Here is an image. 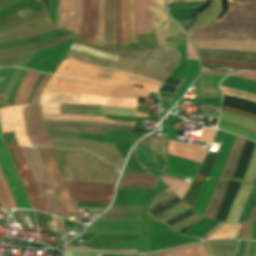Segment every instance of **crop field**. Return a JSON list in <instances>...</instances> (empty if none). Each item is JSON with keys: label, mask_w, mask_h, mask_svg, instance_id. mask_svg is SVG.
I'll list each match as a JSON object with an SVG mask.
<instances>
[{"label": "crop field", "mask_w": 256, "mask_h": 256, "mask_svg": "<svg viewBox=\"0 0 256 256\" xmlns=\"http://www.w3.org/2000/svg\"><path fill=\"white\" fill-rule=\"evenodd\" d=\"M221 19L192 33L193 39L256 40V2L229 4Z\"/></svg>", "instance_id": "8a807250"}, {"label": "crop field", "mask_w": 256, "mask_h": 256, "mask_svg": "<svg viewBox=\"0 0 256 256\" xmlns=\"http://www.w3.org/2000/svg\"><path fill=\"white\" fill-rule=\"evenodd\" d=\"M55 74L93 79L97 81L116 82L136 85L158 90L161 83L141 78L126 72L110 70L102 67L86 65L65 56Z\"/></svg>", "instance_id": "ac0d7876"}, {"label": "crop field", "mask_w": 256, "mask_h": 256, "mask_svg": "<svg viewBox=\"0 0 256 256\" xmlns=\"http://www.w3.org/2000/svg\"><path fill=\"white\" fill-rule=\"evenodd\" d=\"M44 92L89 93L133 98H146L151 90L138 89L120 84L91 82L53 75Z\"/></svg>", "instance_id": "34b2d1b8"}, {"label": "crop field", "mask_w": 256, "mask_h": 256, "mask_svg": "<svg viewBox=\"0 0 256 256\" xmlns=\"http://www.w3.org/2000/svg\"><path fill=\"white\" fill-rule=\"evenodd\" d=\"M0 167L18 208L33 209L9 152L2 140L0 130ZM0 169V202L3 207L17 208Z\"/></svg>", "instance_id": "412701ff"}, {"label": "crop field", "mask_w": 256, "mask_h": 256, "mask_svg": "<svg viewBox=\"0 0 256 256\" xmlns=\"http://www.w3.org/2000/svg\"><path fill=\"white\" fill-rule=\"evenodd\" d=\"M72 49L75 50H79L85 53H89L95 56H99L105 59H109L114 61L116 56H112L106 53H102L99 51H95L89 48H85L79 45H73L71 47ZM69 49L67 56L83 62V63H87V64H91V65H97V66H103V67H107V68H111V69H115V70H121V71H126L135 75H139L154 81H158V82H163V80L165 79V77L167 76V74L143 67L141 65H138L136 63H133L131 61H128L126 59H122L117 57L116 60L114 62L109 61V60H105L99 57H95L89 54H85L79 51H75Z\"/></svg>", "instance_id": "f4fd0767"}, {"label": "crop field", "mask_w": 256, "mask_h": 256, "mask_svg": "<svg viewBox=\"0 0 256 256\" xmlns=\"http://www.w3.org/2000/svg\"><path fill=\"white\" fill-rule=\"evenodd\" d=\"M137 100L133 98L89 94L43 93L39 100V105H41L42 114H59L60 103L136 107Z\"/></svg>", "instance_id": "dd49c442"}, {"label": "crop field", "mask_w": 256, "mask_h": 256, "mask_svg": "<svg viewBox=\"0 0 256 256\" xmlns=\"http://www.w3.org/2000/svg\"><path fill=\"white\" fill-rule=\"evenodd\" d=\"M20 148L23 152L47 212L66 217L37 149L26 147Z\"/></svg>", "instance_id": "e52e79f7"}, {"label": "crop field", "mask_w": 256, "mask_h": 256, "mask_svg": "<svg viewBox=\"0 0 256 256\" xmlns=\"http://www.w3.org/2000/svg\"><path fill=\"white\" fill-rule=\"evenodd\" d=\"M158 47L159 49L131 54L126 58L138 64L170 74L179 65L181 61L180 54L174 42Z\"/></svg>", "instance_id": "d8731c3e"}, {"label": "crop field", "mask_w": 256, "mask_h": 256, "mask_svg": "<svg viewBox=\"0 0 256 256\" xmlns=\"http://www.w3.org/2000/svg\"><path fill=\"white\" fill-rule=\"evenodd\" d=\"M246 140H247L246 138H242L239 136L237 137V139L231 149V152L229 154V157L227 159V162L225 164L223 172L215 185L212 198H211V200L208 204V207L203 215L204 217L211 218V219L214 218V216L220 206L222 198L224 196L226 185L233 175L236 163L239 159V156L242 152V148H243Z\"/></svg>", "instance_id": "5a996713"}, {"label": "crop field", "mask_w": 256, "mask_h": 256, "mask_svg": "<svg viewBox=\"0 0 256 256\" xmlns=\"http://www.w3.org/2000/svg\"><path fill=\"white\" fill-rule=\"evenodd\" d=\"M235 138H236V135L228 134V133L225 134V137L223 139L222 145L217 155L215 164L209 174V177L204 182L201 189V193L193 207V210H195L200 215H203L206 209V206L211 198L216 180L218 179V177L222 172V169L224 167V164L226 162V159L228 157V154L230 152V149L232 147V144Z\"/></svg>", "instance_id": "3316defc"}, {"label": "crop field", "mask_w": 256, "mask_h": 256, "mask_svg": "<svg viewBox=\"0 0 256 256\" xmlns=\"http://www.w3.org/2000/svg\"><path fill=\"white\" fill-rule=\"evenodd\" d=\"M65 212L77 213L49 149L37 148Z\"/></svg>", "instance_id": "28ad6ade"}, {"label": "crop field", "mask_w": 256, "mask_h": 256, "mask_svg": "<svg viewBox=\"0 0 256 256\" xmlns=\"http://www.w3.org/2000/svg\"><path fill=\"white\" fill-rule=\"evenodd\" d=\"M74 201L111 202L114 185L66 183Z\"/></svg>", "instance_id": "d1516ede"}, {"label": "crop field", "mask_w": 256, "mask_h": 256, "mask_svg": "<svg viewBox=\"0 0 256 256\" xmlns=\"http://www.w3.org/2000/svg\"><path fill=\"white\" fill-rule=\"evenodd\" d=\"M8 150L11 154V157L15 163V166L19 172V175L23 181V184L27 190V193L31 199L34 208L36 210L46 212L20 148L8 147Z\"/></svg>", "instance_id": "22f410ed"}, {"label": "crop field", "mask_w": 256, "mask_h": 256, "mask_svg": "<svg viewBox=\"0 0 256 256\" xmlns=\"http://www.w3.org/2000/svg\"><path fill=\"white\" fill-rule=\"evenodd\" d=\"M255 177H256V147L252 155L251 161L249 163L248 169L246 171V176L231 206L230 213L226 222H234V223L238 222V218L241 213V210L251 192V188L255 180Z\"/></svg>", "instance_id": "cbeb9de0"}, {"label": "crop field", "mask_w": 256, "mask_h": 256, "mask_svg": "<svg viewBox=\"0 0 256 256\" xmlns=\"http://www.w3.org/2000/svg\"><path fill=\"white\" fill-rule=\"evenodd\" d=\"M24 109L32 145L53 147L42 122L40 106H24Z\"/></svg>", "instance_id": "5142ce71"}, {"label": "crop field", "mask_w": 256, "mask_h": 256, "mask_svg": "<svg viewBox=\"0 0 256 256\" xmlns=\"http://www.w3.org/2000/svg\"><path fill=\"white\" fill-rule=\"evenodd\" d=\"M2 133L15 130L20 146H31L25 133L21 107H8L0 109Z\"/></svg>", "instance_id": "d9b57169"}, {"label": "crop field", "mask_w": 256, "mask_h": 256, "mask_svg": "<svg viewBox=\"0 0 256 256\" xmlns=\"http://www.w3.org/2000/svg\"><path fill=\"white\" fill-rule=\"evenodd\" d=\"M201 59H220L256 65V52L222 50V49H196Z\"/></svg>", "instance_id": "733c2abd"}, {"label": "crop field", "mask_w": 256, "mask_h": 256, "mask_svg": "<svg viewBox=\"0 0 256 256\" xmlns=\"http://www.w3.org/2000/svg\"><path fill=\"white\" fill-rule=\"evenodd\" d=\"M43 122L45 126L79 128L78 132L87 133V134L104 135L105 129L135 131V126H125V125H111V124L90 123V122H55V121H43Z\"/></svg>", "instance_id": "4a817a6b"}, {"label": "crop field", "mask_w": 256, "mask_h": 256, "mask_svg": "<svg viewBox=\"0 0 256 256\" xmlns=\"http://www.w3.org/2000/svg\"><path fill=\"white\" fill-rule=\"evenodd\" d=\"M216 155L207 153L193 183L190 185L188 191L182 198V200L187 203L190 207H193L196 198L200 192L201 185L208 177V174L214 164Z\"/></svg>", "instance_id": "bc2a9ffb"}, {"label": "crop field", "mask_w": 256, "mask_h": 256, "mask_svg": "<svg viewBox=\"0 0 256 256\" xmlns=\"http://www.w3.org/2000/svg\"><path fill=\"white\" fill-rule=\"evenodd\" d=\"M208 149L168 140L167 154L202 162Z\"/></svg>", "instance_id": "214f88e0"}, {"label": "crop field", "mask_w": 256, "mask_h": 256, "mask_svg": "<svg viewBox=\"0 0 256 256\" xmlns=\"http://www.w3.org/2000/svg\"><path fill=\"white\" fill-rule=\"evenodd\" d=\"M195 48H223L256 51V41L192 40Z\"/></svg>", "instance_id": "92a150f3"}, {"label": "crop field", "mask_w": 256, "mask_h": 256, "mask_svg": "<svg viewBox=\"0 0 256 256\" xmlns=\"http://www.w3.org/2000/svg\"><path fill=\"white\" fill-rule=\"evenodd\" d=\"M156 182L147 173H123L118 189L153 188Z\"/></svg>", "instance_id": "dafd665d"}, {"label": "crop field", "mask_w": 256, "mask_h": 256, "mask_svg": "<svg viewBox=\"0 0 256 256\" xmlns=\"http://www.w3.org/2000/svg\"><path fill=\"white\" fill-rule=\"evenodd\" d=\"M135 18L137 34L153 31L150 21V0H136Z\"/></svg>", "instance_id": "00972430"}, {"label": "crop field", "mask_w": 256, "mask_h": 256, "mask_svg": "<svg viewBox=\"0 0 256 256\" xmlns=\"http://www.w3.org/2000/svg\"><path fill=\"white\" fill-rule=\"evenodd\" d=\"M43 120H75V121H91V122H106L115 124L134 125L135 122L107 120L101 116H88V115H42Z\"/></svg>", "instance_id": "a9b5d70f"}, {"label": "crop field", "mask_w": 256, "mask_h": 256, "mask_svg": "<svg viewBox=\"0 0 256 256\" xmlns=\"http://www.w3.org/2000/svg\"><path fill=\"white\" fill-rule=\"evenodd\" d=\"M114 0H105V43L106 47H114Z\"/></svg>", "instance_id": "4177f3b9"}, {"label": "crop field", "mask_w": 256, "mask_h": 256, "mask_svg": "<svg viewBox=\"0 0 256 256\" xmlns=\"http://www.w3.org/2000/svg\"><path fill=\"white\" fill-rule=\"evenodd\" d=\"M72 11L73 0H60L58 18L55 26L64 31L66 34L69 33V28L72 19Z\"/></svg>", "instance_id": "730fd06b"}, {"label": "crop field", "mask_w": 256, "mask_h": 256, "mask_svg": "<svg viewBox=\"0 0 256 256\" xmlns=\"http://www.w3.org/2000/svg\"><path fill=\"white\" fill-rule=\"evenodd\" d=\"M137 108L116 107V106H100L98 115L107 116H125V117H141L147 118L148 114L136 113Z\"/></svg>", "instance_id": "eef30255"}, {"label": "crop field", "mask_w": 256, "mask_h": 256, "mask_svg": "<svg viewBox=\"0 0 256 256\" xmlns=\"http://www.w3.org/2000/svg\"><path fill=\"white\" fill-rule=\"evenodd\" d=\"M39 72L29 70L23 79L13 105H24L26 97L35 81Z\"/></svg>", "instance_id": "ae1a2a85"}, {"label": "crop field", "mask_w": 256, "mask_h": 256, "mask_svg": "<svg viewBox=\"0 0 256 256\" xmlns=\"http://www.w3.org/2000/svg\"><path fill=\"white\" fill-rule=\"evenodd\" d=\"M164 3L165 0H151V21L155 30L167 23Z\"/></svg>", "instance_id": "d3111659"}, {"label": "crop field", "mask_w": 256, "mask_h": 256, "mask_svg": "<svg viewBox=\"0 0 256 256\" xmlns=\"http://www.w3.org/2000/svg\"><path fill=\"white\" fill-rule=\"evenodd\" d=\"M201 244L208 253V255L211 256L203 243ZM201 244L163 251L162 256H208Z\"/></svg>", "instance_id": "750c4746"}, {"label": "crop field", "mask_w": 256, "mask_h": 256, "mask_svg": "<svg viewBox=\"0 0 256 256\" xmlns=\"http://www.w3.org/2000/svg\"><path fill=\"white\" fill-rule=\"evenodd\" d=\"M221 85L256 93V82H253L250 80H244V79L228 76L222 81Z\"/></svg>", "instance_id": "bd1437ed"}, {"label": "crop field", "mask_w": 256, "mask_h": 256, "mask_svg": "<svg viewBox=\"0 0 256 256\" xmlns=\"http://www.w3.org/2000/svg\"><path fill=\"white\" fill-rule=\"evenodd\" d=\"M99 106L61 104L60 114L97 115Z\"/></svg>", "instance_id": "1d83c4d3"}, {"label": "crop field", "mask_w": 256, "mask_h": 256, "mask_svg": "<svg viewBox=\"0 0 256 256\" xmlns=\"http://www.w3.org/2000/svg\"><path fill=\"white\" fill-rule=\"evenodd\" d=\"M218 128L233 134L245 136L256 142V132L249 130L247 128H244L242 126H239L237 124L219 120Z\"/></svg>", "instance_id": "120bbe31"}, {"label": "crop field", "mask_w": 256, "mask_h": 256, "mask_svg": "<svg viewBox=\"0 0 256 256\" xmlns=\"http://www.w3.org/2000/svg\"><path fill=\"white\" fill-rule=\"evenodd\" d=\"M241 224H231L225 223L218 230H216L213 234H211L207 239L214 238H235L240 234ZM205 239V240H207Z\"/></svg>", "instance_id": "d32e631a"}, {"label": "crop field", "mask_w": 256, "mask_h": 256, "mask_svg": "<svg viewBox=\"0 0 256 256\" xmlns=\"http://www.w3.org/2000/svg\"><path fill=\"white\" fill-rule=\"evenodd\" d=\"M121 48H130L127 29V0L120 1Z\"/></svg>", "instance_id": "5866460e"}, {"label": "crop field", "mask_w": 256, "mask_h": 256, "mask_svg": "<svg viewBox=\"0 0 256 256\" xmlns=\"http://www.w3.org/2000/svg\"><path fill=\"white\" fill-rule=\"evenodd\" d=\"M255 211H256V180L253 185L252 192L242 210L238 223L250 221Z\"/></svg>", "instance_id": "028f5c9d"}, {"label": "crop field", "mask_w": 256, "mask_h": 256, "mask_svg": "<svg viewBox=\"0 0 256 256\" xmlns=\"http://www.w3.org/2000/svg\"><path fill=\"white\" fill-rule=\"evenodd\" d=\"M89 23V0H82V14L77 40L85 42Z\"/></svg>", "instance_id": "e1f06a70"}, {"label": "crop field", "mask_w": 256, "mask_h": 256, "mask_svg": "<svg viewBox=\"0 0 256 256\" xmlns=\"http://www.w3.org/2000/svg\"><path fill=\"white\" fill-rule=\"evenodd\" d=\"M103 42H104V0H98L96 44L103 46Z\"/></svg>", "instance_id": "0bd39190"}, {"label": "crop field", "mask_w": 256, "mask_h": 256, "mask_svg": "<svg viewBox=\"0 0 256 256\" xmlns=\"http://www.w3.org/2000/svg\"><path fill=\"white\" fill-rule=\"evenodd\" d=\"M134 7H135V0H129V2H128V28H129V34H130V40H131V48L137 47Z\"/></svg>", "instance_id": "b80d0937"}, {"label": "crop field", "mask_w": 256, "mask_h": 256, "mask_svg": "<svg viewBox=\"0 0 256 256\" xmlns=\"http://www.w3.org/2000/svg\"><path fill=\"white\" fill-rule=\"evenodd\" d=\"M219 221L210 220V219H204L200 223H198L196 226H194L191 230H189L184 235H190V236H197L201 237L206 232H208L212 227H214Z\"/></svg>", "instance_id": "c035e120"}, {"label": "crop field", "mask_w": 256, "mask_h": 256, "mask_svg": "<svg viewBox=\"0 0 256 256\" xmlns=\"http://www.w3.org/2000/svg\"><path fill=\"white\" fill-rule=\"evenodd\" d=\"M97 16V0H90V23L86 42L95 44V26Z\"/></svg>", "instance_id": "c21b1889"}, {"label": "crop field", "mask_w": 256, "mask_h": 256, "mask_svg": "<svg viewBox=\"0 0 256 256\" xmlns=\"http://www.w3.org/2000/svg\"><path fill=\"white\" fill-rule=\"evenodd\" d=\"M189 209H191V208L183 202V203H181V204H179V205H177V206H175V207H173V208H171L153 218L156 220L165 222V221H167V220H169V219H171Z\"/></svg>", "instance_id": "03da06ac"}, {"label": "crop field", "mask_w": 256, "mask_h": 256, "mask_svg": "<svg viewBox=\"0 0 256 256\" xmlns=\"http://www.w3.org/2000/svg\"><path fill=\"white\" fill-rule=\"evenodd\" d=\"M219 119L237 123L239 125H242L244 127H247L249 129L256 131V122L248 120L241 116H236V115H231V114L221 112Z\"/></svg>", "instance_id": "b54c1fbb"}, {"label": "crop field", "mask_w": 256, "mask_h": 256, "mask_svg": "<svg viewBox=\"0 0 256 256\" xmlns=\"http://www.w3.org/2000/svg\"><path fill=\"white\" fill-rule=\"evenodd\" d=\"M199 10L200 9H173L167 11L175 20H188L192 18Z\"/></svg>", "instance_id": "5d738f31"}, {"label": "crop field", "mask_w": 256, "mask_h": 256, "mask_svg": "<svg viewBox=\"0 0 256 256\" xmlns=\"http://www.w3.org/2000/svg\"><path fill=\"white\" fill-rule=\"evenodd\" d=\"M80 13H81V0H74V12H73V19L71 24V30L78 33V27H79V19H80ZM76 33L70 31L69 36L72 38H76Z\"/></svg>", "instance_id": "d23c7cc5"}, {"label": "crop field", "mask_w": 256, "mask_h": 256, "mask_svg": "<svg viewBox=\"0 0 256 256\" xmlns=\"http://www.w3.org/2000/svg\"><path fill=\"white\" fill-rule=\"evenodd\" d=\"M220 87H221L224 95L234 96L237 98L256 102V95H254V94H250V93H246V92H242V91H238V90H234V89H230V88H226V87H222V86H220Z\"/></svg>", "instance_id": "425ffa30"}, {"label": "crop field", "mask_w": 256, "mask_h": 256, "mask_svg": "<svg viewBox=\"0 0 256 256\" xmlns=\"http://www.w3.org/2000/svg\"><path fill=\"white\" fill-rule=\"evenodd\" d=\"M169 31H170V35L171 36L165 38L166 42L174 41V40H179V39H183L184 38V32L172 20L169 21Z\"/></svg>", "instance_id": "25e5ab78"}, {"label": "crop field", "mask_w": 256, "mask_h": 256, "mask_svg": "<svg viewBox=\"0 0 256 256\" xmlns=\"http://www.w3.org/2000/svg\"><path fill=\"white\" fill-rule=\"evenodd\" d=\"M201 61L203 64H219V65H225V66H230V67L246 68V69L256 71V66H254V65H247V64L228 62V61H208V60H201Z\"/></svg>", "instance_id": "73cf0c24"}, {"label": "crop field", "mask_w": 256, "mask_h": 256, "mask_svg": "<svg viewBox=\"0 0 256 256\" xmlns=\"http://www.w3.org/2000/svg\"><path fill=\"white\" fill-rule=\"evenodd\" d=\"M205 2H176L168 3L167 9L172 8H202Z\"/></svg>", "instance_id": "89e229c0"}, {"label": "crop field", "mask_w": 256, "mask_h": 256, "mask_svg": "<svg viewBox=\"0 0 256 256\" xmlns=\"http://www.w3.org/2000/svg\"><path fill=\"white\" fill-rule=\"evenodd\" d=\"M115 47H120L119 0H115Z\"/></svg>", "instance_id": "1f2cbd36"}, {"label": "crop field", "mask_w": 256, "mask_h": 256, "mask_svg": "<svg viewBox=\"0 0 256 256\" xmlns=\"http://www.w3.org/2000/svg\"><path fill=\"white\" fill-rule=\"evenodd\" d=\"M26 72H27V69H22L20 75L18 76V78H17V80H16V82H15V84H14V87H13V89H12V91H11V94H10V97H9L8 106H9V105H12L14 96H15V94H16V92H17V90H18V87H19V85H20V83H21L23 77L25 76Z\"/></svg>", "instance_id": "dbb93151"}, {"label": "crop field", "mask_w": 256, "mask_h": 256, "mask_svg": "<svg viewBox=\"0 0 256 256\" xmlns=\"http://www.w3.org/2000/svg\"><path fill=\"white\" fill-rule=\"evenodd\" d=\"M76 207L107 208L109 203L74 202Z\"/></svg>", "instance_id": "0fb4a251"}, {"label": "crop field", "mask_w": 256, "mask_h": 256, "mask_svg": "<svg viewBox=\"0 0 256 256\" xmlns=\"http://www.w3.org/2000/svg\"><path fill=\"white\" fill-rule=\"evenodd\" d=\"M154 151L165 153L166 140L152 138Z\"/></svg>", "instance_id": "1d79db26"}, {"label": "crop field", "mask_w": 256, "mask_h": 256, "mask_svg": "<svg viewBox=\"0 0 256 256\" xmlns=\"http://www.w3.org/2000/svg\"><path fill=\"white\" fill-rule=\"evenodd\" d=\"M51 76L49 75H46V77L44 78L42 84L40 85L38 91L36 92L35 96H34V99L32 101V104L31 105H38V99L41 95V93L43 92L46 84L48 83L49 79H50Z\"/></svg>", "instance_id": "9d1cf04e"}, {"label": "crop field", "mask_w": 256, "mask_h": 256, "mask_svg": "<svg viewBox=\"0 0 256 256\" xmlns=\"http://www.w3.org/2000/svg\"><path fill=\"white\" fill-rule=\"evenodd\" d=\"M64 256H102V254L61 250Z\"/></svg>", "instance_id": "447ae74e"}, {"label": "crop field", "mask_w": 256, "mask_h": 256, "mask_svg": "<svg viewBox=\"0 0 256 256\" xmlns=\"http://www.w3.org/2000/svg\"><path fill=\"white\" fill-rule=\"evenodd\" d=\"M225 101L242 104V105L248 106L250 108L256 109V104L248 102V101H244V100H240V99H235V98H231V97H226Z\"/></svg>", "instance_id": "0765c3eb"}, {"label": "crop field", "mask_w": 256, "mask_h": 256, "mask_svg": "<svg viewBox=\"0 0 256 256\" xmlns=\"http://www.w3.org/2000/svg\"><path fill=\"white\" fill-rule=\"evenodd\" d=\"M250 226H251V222L242 224L241 238H248V239H250Z\"/></svg>", "instance_id": "db79e9e6"}, {"label": "crop field", "mask_w": 256, "mask_h": 256, "mask_svg": "<svg viewBox=\"0 0 256 256\" xmlns=\"http://www.w3.org/2000/svg\"><path fill=\"white\" fill-rule=\"evenodd\" d=\"M187 50H188V59H197L188 38H187Z\"/></svg>", "instance_id": "7b73153f"}, {"label": "crop field", "mask_w": 256, "mask_h": 256, "mask_svg": "<svg viewBox=\"0 0 256 256\" xmlns=\"http://www.w3.org/2000/svg\"><path fill=\"white\" fill-rule=\"evenodd\" d=\"M221 99H204V100H195L197 104H215V102H220Z\"/></svg>", "instance_id": "78b8030e"}, {"label": "crop field", "mask_w": 256, "mask_h": 256, "mask_svg": "<svg viewBox=\"0 0 256 256\" xmlns=\"http://www.w3.org/2000/svg\"><path fill=\"white\" fill-rule=\"evenodd\" d=\"M56 230L63 231V222L62 218L55 216Z\"/></svg>", "instance_id": "0f1d7ab4"}, {"label": "crop field", "mask_w": 256, "mask_h": 256, "mask_svg": "<svg viewBox=\"0 0 256 256\" xmlns=\"http://www.w3.org/2000/svg\"><path fill=\"white\" fill-rule=\"evenodd\" d=\"M222 224H224V223L220 222L219 224H217L208 233H206L203 237H201V239L204 240L205 238H207L211 233H213L216 229H218Z\"/></svg>", "instance_id": "e1d0b9f6"}, {"label": "crop field", "mask_w": 256, "mask_h": 256, "mask_svg": "<svg viewBox=\"0 0 256 256\" xmlns=\"http://www.w3.org/2000/svg\"><path fill=\"white\" fill-rule=\"evenodd\" d=\"M236 74H240V75H245V76H249V77H254L256 78V72H251V71H241L238 72Z\"/></svg>", "instance_id": "ae633e8c"}, {"label": "crop field", "mask_w": 256, "mask_h": 256, "mask_svg": "<svg viewBox=\"0 0 256 256\" xmlns=\"http://www.w3.org/2000/svg\"><path fill=\"white\" fill-rule=\"evenodd\" d=\"M224 134H225L224 132H221V131L218 130V132H217V134H216V136H215V138H214L213 141H216V142H220V143H221Z\"/></svg>", "instance_id": "d14b1444"}, {"label": "crop field", "mask_w": 256, "mask_h": 256, "mask_svg": "<svg viewBox=\"0 0 256 256\" xmlns=\"http://www.w3.org/2000/svg\"><path fill=\"white\" fill-rule=\"evenodd\" d=\"M249 256H256V243L251 242V247H250V254Z\"/></svg>", "instance_id": "c39391a2"}, {"label": "crop field", "mask_w": 256, "mask_h": 256, "mask_svg": "<svg viewBox=\"0 0 256 256\" xmlns=\"http://www.w3.org/2000/svg\"><path fill=\"white\" fill-rule=\"evenodd\" d=\"M251 239L256 240V221L252 222V237Z\"/></svg>", "instance_id": "ade564c9"}, {"label": "crop field", "mask_w": 256, "mask_h": 256, "mask_svg": "<svg viewBox=\"0 0 256 256\" xmlns=\"http://www.w3.org/2000/svg\"><path fill=\"white\" fill-rule=\"evenodd\" d=\"M7 98L8 97L3 95V99H2V101H0V102H2V107H6L7 106Z\"/></svg>", "instance_id": "c5b07064"}, {"label": "crop field", "mask_w": 256, "mask_h": 256, "mask_svg": "<svg viewBox=\"0 0 256 256\" xmlns=\"http://www.w3.org/2000/svg\"><path fill=\"white\" fill-rule=\"evenodd\" d=\"M243 1H256V0H229V3H231V2H243Z\"/></svg>", "instance_id": "c3a83c6f"}, {"label": "crop field", "mask_w": 256, "mask_h": 256, "mask_svg": "<svg viewBox=\"0 0 256 256\" xmlns=\"http://www.w3.org/2000/svg\"><path fill=\"white\" fill-rule=\"evenodd\" d=\"M233 76H239V77H243V78H245V79H251V80H254V81H256V79H254V78H249V77L240 76V75H236V74H233Z\"/></svg>", "instance_id": "fb207236"}, {"label": "crop field", "mask_w": 256, "mask_h": 256, "mask_svg": "<svg viewBox=\"0 0 256 256\" xmlns=\"http://www.w3.org/2000/svg\"><path fill=\"white\" fill-rule=\"evenodd\" d=\"M202 73H220V72L203 71ZM220 74H227V75H229V73H220Z\"/></svg>", "instance_id": "7312dd0a"}, {"label": "crop field", "mask_w": 256, "mask_h": 256, "mask_svg": "<svg viewBox=\"0 0 256 256\" xmlns=\"http://www.w3.org/2000/svg\"><path fill=\"white\" fill-rule=\"evenodd\" d=\"M183 1H208V0H183Z\"/></svg>", "instance_id": "180be81f"}, {"label": "crop field", "mask_w": 256, "mask_h": 256, "mask_svg": "<svg viewBox=\"0 0 256 256\" xmlns=\"http://www.w3.org/2000/svg\"><path fill=\"white\" fill-rule=\"evenodd\" d=\"M175 1H182V0H168V2H175Z\"/></svg>", "instance_id": "f0312440"}, {"label": "crop field", "mask_w": 256, "mask_h": 256, "mask_svg": "<svg viewBox=\"0 0 256 256\" xmlns=\"http://www.w3.org/2000/svg\"><path fill=\"white\" fill-rule=\"evenodd\" d=\"M253 220H256V213L254 214V216H253L251 221H253Z\"/></svg>", "instance_id": "1f1604b0"}, {"label": "crop field", "mask_w": 256, "mask_h": 256, "mask_svg": "<svg viewBox=\"0 0 256 256\" xmlns=\"http://www.w3.org/2000/svg\"><path fill=\"white\" fill-rule=\"evenodd\" d=\"M161 104H165V105H168L167 103H163V102H161Z\"/></svg>", "instance_id": "819c52e7"}, {"label": "crop field", "mask_w": 256, "mask_h": 256, "mask_svg": "<svg viewBox=\"0 0 256 256\" xmlns=\"http://www.w3.org/2000/svg\"><path fill=\"white\" fill-rule=\"evenodd\" d=\"M1 104V103H0Z\"/></svg>", "instance_id": "c821d689"}]
</instances>
